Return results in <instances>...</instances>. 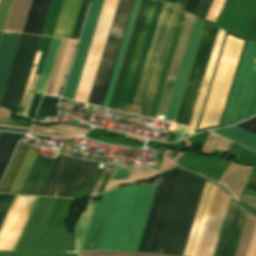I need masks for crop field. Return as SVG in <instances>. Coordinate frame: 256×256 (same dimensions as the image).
<instances>
[{
	"instance_id": "bc2a9ffb",
	"label": "crop field",
	"mask_w": 256,
	"mask_h": 256,
	"mask_svg": "<svg viewBox=\"0 0 256 256\" xmlns=\"http://www.w3.org/2000/svg\"><path fill=\"white\" fill-rule=\"evenodd\" d=\"M31 35H26V34H22L20 41H19V45L13 60V64L8 76V80L2 95V99L0 102V107L5 108V109H9L10 106V102L13 96V92L16 86V82L19 76V72L23 63V59L26 53V49L29 43V39H30Z\"/></svg>"
},
{
	"instance_id": "120bbe31",
	"label": "crop field",
	"mask_w": 256,
	"mask_h": 256,
	"mask_svg": "<svg viewBox=\"0 0 256 256\" xmlns=\"http://www.w3.org/2000/svg\"><path fill=\"white\" fill-rule=\"evenodd\" d=\"M12 0H0V30L4 29Z\"/></svg>"
},
{
	"instance_id": "4177f3b9",
	"label": "crop field",
	"mask_w": 256,
	"mask_h": 256,
	"mask_svg": "<svg viewBox=\"0 0 256 256\" xmlns=\"http://www.w3.org/2000/svg\"><path fill=\"white\" fill-rule=\"evenodd\" d=\"M212 132L256 151V136L236 126L218 129Z\"/></svg>"
},
{
	"instance_id": "03da06ac",
	"label": "crop field",
	"mask_w": 256,
	"mask_h": 256,
	"mask_svg": "<svg viewBox=\"0 0 256 256\" xmlns=\"http://www.w3.org/2000/svg\"><path fill=\"white\" fill-rule=\"evenodd\" d=\"M248 190L256 192V174L254 175V177L248 187Z\"/></svg>"
},
{
	"instance_id": "733c2abd",
	"label": "crop field",
	"mask_w": 256,
	"mask_h": 256,
	"mask_svg": "<svg viewBox=\"0 0 256 256\" xmlns=\"http://www.w3.org/2000/svg\"><path fill=\"white\" fill-rule=\"evenodd\" d=\"M185 13L179 11L178 18L175 24V28L171 37V41L167 50V54L164 60V64L160 73V77L156 86V90L153 96V100L149 109V113L147 117L154 118L156 114V110L159 104V100L163 91V87L166 81V77L170 68V64L174 55V51L177 45V41L181 32V28L184 22Z\"/></svg>"
},
{
	"instance_id": "5142ce71",
	"label": "crop field",
	"mask_w": 256,
	"mask_h": 256,
	"mask_svg": "<svg viewBox=\"0 0 256 256\" xmlns=\"http://www.w3.org/2000/svg\"><path fill=\"white\" fill-rule=\"evenodd\" d=\"M81 0H64L53 36L69 38ZM88 0H82L70 38L77 39Z\"/></svg>"
},
{
	"instance_id": "b80d0937",
	"label": "crop field",
	"mask_w": 256,
	"mask_h": 256,
	"mask_svg": "<svg viewBox=\"0 0 256 256\" xmlns=\"http://www.w3.org/2000/svg\"><path fill=\"white\" fill-rule=\"evenodd\" d=\"M245 38L256 41V13H255L253 20L245 34Z\"/></svg>"
},
{
	"instance_id": "3316defc",
	"label": "crop field",
	"mask_w": 256,
	"mask_h": 256,
	"mask_svg": "<svg viewBox=\"0 0 256 256\" xmlns=\"http://www.w3.org/2000/svg\"><path fill=\"white\" fill-rule=\"evenodd\" d=\"M156 186L157 185L148 183H143L138 186L119 251H137Z\"/></svg>"
},
{
	"instance_id": "f4fd0767",
	"label": "crop field",
	"mask_w": 256,
	"mask_h": 256,
	"mask_svg": "<svg viewBox=\"0 0 256 256\" xmlns=\"http://www.w3.org/2000/svg\"><path fill=\"white\" fill-rule=\"evenodd\" d=\"M133 2L134 0L118 1L106 45L87 102L89 104L102 105Z\"/></svg>"
},
{
	"instance_id": "92a150f3",
	"label": "crop field",
	"mask_w": 256,
	"mask_h": 256,
	"mask_svg": "<svg viewBox=\"0 0 256 256\" xmlns=\"http://www.w3.org/2000/svg\"><path fill=\"white\" fill-rule=\"evenodd\" d=\"M21 34L3 33L0 42V99Z\"/></svg>"
},
{
	"instance_id": "ac0d7876",
	"label": "crop field",
	"mask_w": 256,
	"mask_h": 256,
	"mask_svg": "<svg viewBox=\"0 0 256 256\" xmlns=\"http://www.w3.org/2000/svg\"><path fill=\"white\" fill-rule=\"evenodd\" d=\"M117 1L118 0H104V3L103 0L92 1L88 18L82 32L84 33V35L81 36L80 43L69 75V79L62 97L71 99L74 98L78 81L85 62V58L92 39V35L99 16V12L103 3L100 16L97 22V26L93 35V39L90 45V49L83 68V72L76 91V95L74 98L77 101L85 103L87 102L88 95L92 86V82L96 73V69L100 60V56L104 47V43L107 37V33L111 24V20L115 11Z\"/></svg>"
},
{
	"instance_id": "425ffa30",
	"label": "crop field",
	"mask_w": 256,
	"mask_h": 256,
	"mask_svg": "<svg viewBox=\"0 0 256 256\" xmlns=\"http://www.w3.org/2000/svg\"><path fill=\"white\" fill-rule=\"evenodd\" d=\"M2 33H3V32H0V39H1Z\"/></svg>"
},
{
	"instance_id": "4a817a6b",
	"label": "crop field",
	"mask_w": 256,
	"mask_h": 256,
	"mask_svg": "<svg viewBox=\"0 0 256 256\" xmlns=\"http://www.w3.org/2000/svg\"><path fill=\"white\" fill-rule=\"evenodd\" d=\"M54 160L38 154L20 194L38 195Z\"/></svg>"
},
{
	"instance_id": "c21b1889",
	"label": "crop field",
	"mask_w": 256,
	"mask_h": 256,
	"mask_svg": "<svg viewBox=\"0 0 256 256\" xmlns=\"http://www.w3.org/2000/svg\"><path fill=\"white\" fill-rule=\"evenodd\" d=\"M248 256H256V232Z\"/></svg>"
},
{
	"instance_id": "ae1a2a85",
	"label": "crop field",
	"mask_w": 256,
	"mask_h": 256,
	"mask_svg": "<svg viewBox=\"0 0 256 256\" xmlns=\"http://www.w3.org/2000/svg\"><path fill=\"white\" fill-rule=\"evenodd\" d=\"M42 0H32L22 33L32 34L41 7Z\"/></svg>"
},
{
	"instance_id": "28ad6ade",
	"label": "crop field",
	"mask_w": 256,
	"mask_h": 256,
	"mask_svg": "<svg viewBox=\"0 0 256 256\" xmlns=\"http://www.w3.org/2000/svg\"><path fill=\"white\" fill-rule=\"evenodd\" d=\"M84 162L59 154L39 195L68 197Z\"/></svg>"
},
{
	"instance_id": "5a996713",
	"label": "crop field",
	"mask_w": 256,
	"mask_h": 256,
	"mask_svg": "<svg viewBox=\"0 0 256 256\" xmlns=\"http://www.w3.org/2000/svg\"><path fill=\"white\" fill-rule=\"evenodd\" d=\"M146 3H147V0H141V4H140V0H135V2H134L133 8H132V11H131V14H130V18H129V21H128V24H127V27H126V31H125V34H124V37H123V40H122V44H121V47H120V50H119V53H118V56H117V60H116V63H115L114 69H113V73H112V76H111V79H110V82H109V86H108V89H107V92H106V95H105V99H104V102H103V105H102L104 107H108L109 100H110V97H111V94H112V91H113V88H114V84H115V81H116V78H117V75H118V71H119V68H120V65H121V62H122V58H123V55H124V52H125V49H126V46H127V42H128V39H129V36H130V33H131V29H132L134 20H135V16H136L139 4H140L139 10H138V13H137V16H136V20H135V23H134V26H133V29H132V33H131V36H130V39H129V42H128V46H127V49H126V52H125V55H124V58H123V62H122V65H121V68H120V71H119V75H118V78H117V81H116V84H115V88H114V91H113V94H112V97H111V100H110V104H109V107H108V108H111V109L114 108L116 98H117V95H118V92H119V89H120V86H121V83H122V79H123V76H124V73H125V70H126V67H127V64H128V60H129V57H130V54H131V51H132V48H133V44H134L138 29H139V25H140V22H141L143 13H144Z\"/></svg>"
},
{
	"instance_id": "eef30255",
	"label": "crop field",
	"mask_w": 256,
	"mask_h": 256,
	"mask_svg": "<svg viewBox=\"0 0 256 256\" xmlns=\"http://www.w3.org/2000/svg\"><path fill=\"white\" fill-rule=\"evenodd\" d=\"M99 164L86 161L73 191L87 188ZM72 191V192H73Z\"/></svg>"
},
{
	"instance_id": "0bd39190",
	"label": "crop field",
	"mask_w": 256,
	"mask_h": 256,
	"mask_svg": "<svg viewBox=\"0 0 256 256\" xmlns=\"http://www.w3.org/2000/svg\"><path fill=\"white\" fill-rule=\"evenodd\" d=\"M130 170L115 167L109 180L126 179Z\"/></svg>"
},
{
	"instance_id": "bd1437ed",
	"label": "crop field",
	"mask_w": 256,
	"mask_h": 256,
	"mask_svg": "<svg viewBox=\"0 0 256 256\" xmlns=\"http://www.w3.org/2000/svg\"><path fill=\"white\" fill-rule=\"evenodd\" d=\"M226 34H227V32L225 33V36H226ZM229 34H230V33H229ZM229 34H228V35H229ZM231 35H232V34H231ZM225 36H224V39H225ZM233 36H235V35H233ZM235 37H237V36H235ZM237 38H239V37H237ZM239 39H242V38H239ZM242 40H245V39H242ZM245 41H246V40H245ZM223 43H224V40H223ZM223 43H222V46H223ZM244 45H245V43H244ZM244 45H243V48H244ZM222 46H221V49H222ZM243 48H242L241 53H240V56H239V60H238L237 66H236V70H235V73H234V76H233V80H232V83H231V86H230V90H229V93H228V96H227V100H226V103H225V106H224V110H223V113H222V116H221V120H220L219 125L197 130L198 125H199V122H200V118H201V115H202V112H203V109H204V106H205V102H206V99H207V96H208V93H209V90H210V86H211V83H212V80H213V77H214V73H215V70H216V67H217V63H218V60H219V56H220V53H221V49H220V53H219V56H218V59H217V62H216V66H215V69H214V72H213V75H212V79H211V82H210V85H209V89H208V92H207V95H206V98H205V102H204V105H203V108H202V111H201V115H200V118H199V121H198V124H197V128H196L195 133L198 132V131H201V130H205V129H209V128H214V127H218V126L221 125V121H222V118H223V115H224V111H225V108H226V105H227V101H228V98H229V95H230V91H231V88H232V85H233V81H234V78H235V75H236V71H237V68H238V65H239V61H240V58H241V55H242Z\"/></svg>"
},
{
	"instance_id": "d1516ede",
	"label": "crop field",
	"mask_w": 256,
	"mask_h": 256,
	"mask_svg": "<svg viewBox=\"0 0 256 256\" xmlns=\"http://www.w3.org/2000/svg\"><path fill=\"white\" fill-rule=\"evenodd\" d=\"M38 148L19 142L0 183V192L18 194Z\"/></svg>"
},
{
	"instance_id": "e52e79f7",
	"label": "crop field",
	"mask_w": 256,
	"mask_h": 256,
	"mask_svg": "<svg viewBox=\"0 0 256 256\" xmlns=\"http://www.w3.org/2000/svg\"><path fill=\"white\" fill-rule=\"evenodd\" d=\"M138 185L117 188L97 251H118Z\"/></svg>"
},
{
	"instance_id": "c035e120",
	"label": "crop field",
	"mask_w": 256,
	"mask_h": 256,
	"mask_svg": "<svg viewBox=\"0 0 256 256\" xmlns=\"http://www.w3.org/2000/svg\"><path fill=\"white\" fill-rule=\"evenodd\" d=\"M160 1H163V2L171 4V5H174L178 8H181V6L184 2V0H160Z\"/></svg>"
},
{
	"instance_id": "750c4746",
	"label": "crop field",
	"mask_w": 256,
	"mask_h": 256,
	"mask_svg": "<svg viewBox=\"0 0 256 256\" xmlns=\"http://www.w3.org/2000/svg\"><path fill=\"white\" fill-rule=\"evenodd\" d=\"M39 55L40 54L36 55V58H35V61H34V64H33V68H32V71H31V74H30V77H29V80H28V83H27V86H26V89H25V93H24L21 105L23 104L24 97H25L27 89L30 88L31 81H32V78H33V75H34V71H35V68H36V65H37V62H38ZM38 77L39 76L35 77L34 84H33L32 90H31L33 92L35 91V87H36V84H37V81H38ZM33 94L34 93H32V92L28 93V97H27L26 104H25V107H24V110H23V114H22L25 117L27 116V113H28V110H29V107H30V103H31V100H32V97H33Z\"/></svg>"
},
{
	"instance_id": "1d83c4d3",
	"label": "crop field",
	"mask_w": 256,
	"mask_h": 256,
	"mask_svg": "<svg viewBox=\"0 0 256 256\" xmlns=\"http://www.w3.org/2000/svg\"><path fill=\"white\" fill-rule=\"evenodd\" d=\"M52 0H43L42 7L38 16V20L35 26V30L33 34L41 35L43 31V27L46 21V17L50 8Z\"/></svg>"
},
{
	"instance_id": "e1f06a70",
	"label": "crop field",
	"mask_w": 256,
	"mask_h": 256,
	"mask_svg": "<svg viewBox=\"0 0 256 256\" xmlns=\"http://www.w3.org/2000/svg\"><path fill=\"white\" fill-rule=\"evenodd\" d=\"M253 114H256V83H255L253 93H252V96H251V99H250V102H249V105L247 108L245 118H247Z\"/></svg>"
},
{
	"instance_id": "412701ff",
	"label": "crop field",
	"mask_w": 256,
	"mask_h": 256,
	"mask_svg": "<svg viewBox=\"0 0 256 256\" xmlns=\"http://www.w3.org/2000/svg\"><path fill=\"white\" fill-rule=\"evenodd\" d=\"M178 11V9L163 5L133 104L141 106L139 113L141 116H147Z\"/></svg>"
},
{
	"instance_id": "34b2d1b8",
	"label": "crop field",
	"mask_w": 256,
	"mask_h": 256,
	"mask_svg": "<svg viewBox=\"0 0 256 256\" xmlns=\"http://www.w3.org/2000/svg\"><path fill=\"white\" fill-rule=\"evenodd\" d=\"M205 181L178 170L153 253L183 255Z\"/></svg>"
},
{
	"instance_id": "dd49c442",
	"label": "crop field",
	"mask_w": 256,
	"mask_h": 256,
	"mask_svg": "<svg viewBox=\"0 0 256 256\" xmlns=\"http://www.w3.org/2000/svg\"><path fill=\"white\" fill-rule=\"evenodd\" d=\"M256 80V43L246 42L222 125L243 120Z\"/></svg>"
},
{
	"instance_id": "d9b57169",
	"label": "crop field",
	"mask_w": 256,
	"mask_h": 256,
	"mask_svg": "<svg viewBox=\"0 0 256 256\" xmlns=\"http://www.w3.org/2000/svg\"><path fill=\"white\" fill-rule=\"evenodd\" d=\"M115 190L103 194L100 202L96 203L82 250H97Z\"/></svg>"
},
{
	"instance_id": "5866460e",
	"label": "crop field",
	"mask_w": 256,
	"mask_h": 256,
	"mask_svg": "<svg viewBox=\"0 0 256 256\" xmlns=\"http://www.w3.org/2000/svg\"><path fill=\"white\" fill-rule=\"evenodd\" d=\"M14 195L0 194V224Z\"/></svg>"
},
{
	"instance_id": "5d738f31",
	"label": "crop field",
	"mask_w": 256,
	"mask_h": 256,
	"mask_svg": "<svg viewBox=\"0 0 256 256\" xmlns=\"http://www.w3.org/2000/svg\"><path fill=\"white\" fill-rule=\"evenodd\" d=\"M108 167H109V165H105V166H104L103 171H102V173H101V176H100L99 180H102V179H103V177H104V175H105V173H106ZM99 180H98V181H99Z\"/></svg>"
},
{
	"instance_id": "22f410ed",
	"label": "crop field",
	"mask_w": 256,
	"mask_h": 256,
	"mask_svg": "<svg viewBox=\"0 0 256 256\" xmlns=\"http://www.w3.org/2000/svg\"><path fill=\"white\" fill-rule=\"evenodd\" d=\"M247 214L231 199L214 256H234Z\"/></svg>"
},
{
	"instance_id": "730fd06b",
	"label": "crop field",
	"mask_w": 256,
	"mask_h": 256,
	"mask_svg": "<svg viewBox=\"0 0 256 256\" xmlns=\"http://www.w3.org/2000/svg\"><path fill=\"white\" fill-rule=\"evenodd\" d=\"M24 135L0 134V179L19 139Z\"/></svg>"
},
{
	"instance_id": "dafd665d",
	"label": "crop field",
	"mask_w": 256,
	"mask_h": 256,
	"mask_svg": "<svg viewBox=\"0 0 256 256\" xmlns=\"http://www.w3.org/2000/svg\"><path fill=\"white\" fill-rule=\"evenodd\" d=\"M226 0H185L183 6H182V10L190 13V14H193L201 19H204L210 5H211V2H212V5L206 15V19L212 21V22H216L220 12H221V9L224 5ZM204 19V20H206ZM206 20V21H208ZM208 21V22H210ZM210 22V23H212ZM212 23V24H214Z\"/></svg>"
},
{
	"instance_id": "d8731c3e",
	"label": "crop field",
	"mask_w": 256,
	"mask_h": 256,
	"mask_svg": "<svg viewBox=\"0 0 256 256\" xmlns=\"http://www.w3.org/2000/svg\"><path fill=\"white\" fill-rule=\"evenodd\" d=\"M178 168L161 174L137 252L152 253Z\"/></svg>"
},
{
	"instance_id": "00972430",
	"label": "crop field",
	"mask_w": 256,
	"mask_h": 256,
	"mask_svg": "<svg viewBox=\"0 0 256 256\" xmlns=\"http://www.w3.org/2000/svg\"><path fill=\"white\" fill-rule=\"evenodd\" d=\"M61 40L62 39H59V38L52 39V42H51V45H50V48L48 51V55H47V58H46V61H45V64H44V67H43V70H42V73H41V76L39 79V83H38L35 93H41V94L45 93V90H46V87L48 84V80H49V77H50L56 56H57V52H58ZM40 96L41 95H38V94L34 95V99H33L32 106H31L29 116H28L31 119H33V117H34Z\"/></svg>"
},
{
	"instance_id": "25e5ab78",
	"label": "crop field",
	"mask_w": 256,
	"mask_h": 256,
	"mask_svg": "<svg viewBox=\"0 0 256 256\" xmlns=\"http://www.w3.org/2000/svg\"><path fill=\"white\" fill-rule=\"evenodd\" d=\"M218 186V185H217ZM222 190V189H221ZM223 191V190H222ZM224 192V191H223ZM225 193V192H224ZM227 194V193H226ZM228 195V194H227ZM229 196V195H228ZM230 197V196H229ZM231 198V197H230Z\"/></svg>"
},
{
	"instance_id": "028f5c9d",
	"label": "crop field",
	"mask_w": 256,
	"mask_h": 256,
	"mask_svg": "<svg viewBox=\"0 0 256 256\" xmlns=\"http://www.w3.org/2000/svg\"><path fill=\"white\" fill-rule=\"evenodd\" d=\"M236 126L256 135V116Z\"/></svg>"
},
{
	"instance_id": "d3111659",
	"label": "crop field",
	"mask_w": 256,
	"mask_h": 256,
	"mask_svg": "<svg viewBox=\"0 0 256 256\" xmlns=\"http://www.w3.org/2000/svg\"><path fill=\"white\" fill-rule=\"evenodd\" d=\"M57 98L43 96L36 117H55Z\"/></svg>"
},
{
	"instance_id": "cbeb9de0",
	"label": "crop field",
	"mask_w": 256,
	"mask_h": 256,
	"mask_svg": "<svg viewBox=\"0 0 256 256\" xmlns=\"http://www.w3.org/2000/svg\"><path fill=\"white\" fill-rule=\"evenodd\" d=\"M156 1L148 0L146 10L141 22V26L135 41V45L129 60V64L123 79V83L117 98V102L114 109H117L119 111L123 110V106L126 100V96L130 87V83L134 74V70L138 61V57L142 48V44L146 35V31L150 22V18L154 9Z\"/></svg>"
},
{
	"instance_id": "b54c1fbb",
	"label": "crop field",
	"mask_w": 256,
	"mask_h": 256,
	"mask_svg": "<svg viewBox=\"0 0 256 256\" xmlns=\"http://www.w3.org/2000/svg\"><path fill=\"white\" fill-rule=\"evenodd\" d=\"M183 128H184V126H180V125L177 126V130H176V141L179 140V139H181L182 132H183Z\"/></svg>"
},
{
	"instance_id": "8a807250",
	"label": "crop field",
	"mask_w": 256,
	"mask_h": 256,
	"mask_svg": "<svg viewBox=\"0 0 256 256\" xmlns=\"http://www.w3.org/2000/svg\"><path fill=\"white\" fill-rule=\"evenodd\" d=\"M205 22L194 19L169 106L166 121H175ZM219 28L205 24L176 123L189 125Z\"/></svg>"
},
{
	"instance_id": "a9b5d70f",
	"label": "crop field",
	"mask_w": 256,
	"mask_h": 256,
	"mask_svg": "<svg viewBox=\"0 0 256 256\" xmlns=\"http://www.w3.org/2000/svg\"><path fill=\"white\" fill-rule=\"evenodd\" d=\"M39 38L40 37H38V36L32 35L31 39H30L27 53H26V56L24 59L21 73H20V76H19V79L17 82V86H16V89L14 92L11 106L9 109L10 111H13L15 113L17 112V109H18V105H19V102H20V99H21V96L23 93V89H24V86H25V83H26V80L28 77V73H29V70H30V67H31V64L33 61V57H34V54H35V51H36V48L38 45Z\"/></svg>"
},
{
	"instance_id": "d32e631a",
	"label": "crop field",
	"mask_w": 256,
	"mask_h": 256,
	"mask_svg": "<svg viewBox=\"0 0 256 256\" xmlns=\"http://www.w3.org/2000/svg\"><path fill=\"white\" fill-rule=\"evenodd\" d=\"M1 121L3 122H10V123H14V124H6V123H0L2 125H13V126H24V127H30V123L22 120V121H17V120H13V119H9L4 117ZM0 125V127H12V128H23V129H28V128H24V127H13V126H2ZM0 129H6V130H15V131H23V132H27L28 130H23V129H11V128H0Z\"/></svg>"
},
{
	"instance_id": "214f88e0",
	"label": "crop field",
	"mask_w": 256,
	"mask_h": 256,
	"mask_svg": "<svg viewBox=\"0 0 256 256\" xmlns=\"http://www.w3.org/2000/svg\"><path fill=\"white\" fill-rule=\"evenodd\" d=\"M162 5H163L162 3H158V2L156 3L155 10H154L151 22H150V26H149V29H148V32L146 35V39H145V42H144V45H143V48L141 51V55H140V58H139V61H138L137 67H136V71H135V74H134V77L132 80V84H131L125 104H129V105L133 104L134 97H135L137 87H138V84H139V81L141 78V74H142L144 64H145V61L147 58V54H148V51H149V48L151 45L154 31H155V28H156V25L158 22V18H159L160 12H161Z\"/></svg>"
},
{
	"instance_id": "d23c7cc5",
	"label": "crop field",
	"mask_w": 256,
	"mask_h": 256,
	"mask_svg": "<svg viewBox=\"0 0 256 256\" xmlns=\"http://www.w3.org/2000/svg\"><path fill=\"white\" fill-rule=\"evenodd\" d=\"M206 182L210 183L209 181H206ZM210 184H212V183H210ZM212 185H214V184H212ZM215 186H216V185H215ZM192 243H193V242H192ZM189 255H190V253H189ZM189 255H188V256H189Z\"/></svg>"
}]
</instances>
